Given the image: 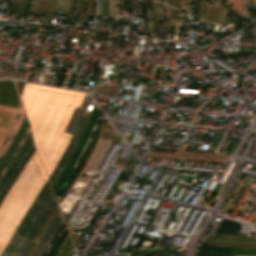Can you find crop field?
<instances>
[{"mask_svg":"<svg viewBox=\"0 0 256 256\" xmlns=\"http://www.w3.org/2000/svg\"><path fill=\"white\" fill-rule=\"evenodd\" d=\"M102 16H103V3H102Z\"/></svg>","mask_w":256,"mask_h":256,"instance_id":"22","label":"crop field"},{"mask_svg":"<svg viewBox=\"0 0 256 256\" xmlns=\"http://www.w3.org/2000/svg\"><path fill=\"white\" fill-rule=\"evenodd\" d=\"M46 180L35 152L0 205V253Z\"/></svg>","mask_w":256,"mask_h":256,"instance_id":"2","label":"crop field"},{"mask_svg":"<svg viewBox=\"0 0 256 256\" xmlns=\"http://www.w3.org/2000/svg\"><path fill=\"white\" fill-rule=\"evenodd\" d=\"M174 2H175V0H172V6H174Z\"/></svg>","mask_w":256,"mask_h":256,"instance_id":"19","label":"crop field"},{"mask_svg":"<svg viewBox=\"0 0 256 256\" xmlns=\"http://www.w3.org/2000/svg\"><path fill=\"white\" fill-rule=\"evenodd\" d=\"M254 5L256 6V0H255V2H254Z\"/></svg>","mask_w":256,"mask_h":256,"instance_id":"24","label":"crop field"},{"mask_svg":"<svg viewBox=\"0 0 256 256\" xmlns=\"http://www.w3.org/2000/svg\"><path fill=\"white\" fill-rule=\"evenodd\" d=\"M157 18H158V10H157Z\"/></svg>","mask_w":256,"mask_h":256,"instance_id":"25","label":"crop field"},{"mask_svg":"<svg viewBox=\"0 0 256 256\" xmlns=\"http://www.w3.org/2000/svg\"><path fill=\"white\" fill-rule=\"evenodd\" d=\"M254 1V0H253ZM253 1H252V3H253Z\"/></svg>","mask_w":256,"mask_h":256,"instance_id":"28","label":"crop field"},{"mask_svg":"<svg viewBox=\"0 0 256 256\" xmlns=\"http://www.w3.org/2000/svg\"><path fill=\"white\" fill-rule=\"evenodd\" d=\"M153 18H156V2L152 1Z\"/></svg>","mask_w":256,"mask_h":256,"instance_id":"13","label":"crop field"},{"mask_svg":"<svg viewBox=\"0 0 256 256\" xmlns=\"http://www.w3.org/2000/svg\"><path fill=\"white\" fill-rule=\"evenodd\" d=\"M16 109L6 108L0 106V144L4 139L11 123L13 122L16 114Z\"/></svg>","mask_w":256,"mask_h":256,"instance_id":"8","label":"crop field"},{"mask_svg":"<svg viewBox=\"0 0 256 256\" xmlns=\"http://www.w3.org/2000/svg\"><path fill=\"white\" fill-rule=\"evenodd\" d=\"M233 1L231 7L230 4ZM243 2L241 0H227V6L229 9H231L233 12L237 13L238 15L241 12L242 6H243Z\"/></svg>","mask_w":256,"mask_h":256,"instance_id":"10","label":"crop field"},{"mask_svg":"<svg viewBox=\"0 0 256 256\" xmlns=\"http://www.w3.org/2000/svg\"><path fill=\"white\" fill-rule=\"evenodd\" d=\"M56 204H57V201L53 196V198L51 199V201L49 202L47 207L44 209V211L40 215L37 223L35 224L34 228L30 232L29 236L27 237L26 241L24 242V244L22 245V247L20 248V250L18 251L16 256H23L24 255V253L26 252V250L28 249V247L30 246L32 241L34 240L35 236L37 235V233L39 232V230L41 229V227L43 226V224L45 223V221L49 217L50 213L52 212V210L56 206Z\"/></svg>","mask_w":256,"mask_h":256,"instance_id":"6","label":"crop field"},{"mask_svg":"<svg viewBox=\"0 0 256 256\" xmlns=\"http://www.w3.org/2000/svg\"><path fill=\"white\" fill-rule=\"evenodd\" d=\"M27 126H28V124H27V120H26V117H25V119H24L20 129L18 130L13 142L11 143L7 153L5 154L3 159L0 161V173L3 170V168L5 167V165L7 164V162L9 161V159L11 158L12 154L14 153V151H15L21 137L23 136Z\"/></svg>","mask_w":256,"mask_h":256,"instance_id":"9","label":"crop field"},{"mask_svg":"<svg viewBox=\"0 0 256 256\" xmlns=\"http://www.w3.org/2000/svg\"><path fill=\"white\" fill-rule=\"evenodd\" d=\"M166 3H167V0H166Z\"/></svg>","mask_w":256,"mask_h":256,"instance_id":"29","label":"crop field"},{"mask_svg":"<svg viewBox=\"0 0 256 256\" xmlns=\"http://www.w3.org/2000/svg\"><path fill=\"white\" fill-rule=\"evenodd\" d=\"M62 222L63 220L59 211L31 256L43 255L44 251L46 250L47 246L51 242L59 227L61 226Z\"/></svg>","mask_w":256,"mask_h":256,"instance_id":"7","label":"crop field"},{"mask_svg":"<svg viewBox=\"0 0 256 256\" xmlns=\"http://www.w3.org/2000/svg\"><path fill=\"white\" fill-rule=\"evenodd\" d=\"M77 5H78V0H76V5H75V7H77Z\"/></svg>","mask_w":256,"mask_h":256,"instance_id":"21","label":"crop field"},{"mask_svg":"<svg viewBox=\"0 0 256 256\" xmlns=\"http://www.w3.org/2000/svg\"><path fill=\"white\" fill-rule=\"evenodd\" d=\"M227 11H228V9L225 8L224 6H222V9H221V12H220L219 15L226 16V15H227ZM225 18H226V17L219 16L216 23H217V24H220V25H223V23H224V21H225Z\"/></svg>","mask_w":256,"mask_h":256,"instance_id":"11","label":"crop field"},{"mask_svg":"<svg viewBox=\"0 0 256 256\" xmlns=\"http://www.w3.org/2000/svg\"><path fill=\"white\" fill-rule=\"evenodd\" d=\"M204 3H205L204 1H201L200 9H199V12H198V14H197V20L200 18V15H201V12H202Z\"/></svg>","mask_w":256,"mask_h":256,"instance_id":"14","label":"crop field"},{"mask_svg":"<svg viewBox=\"0 0 256 256\" xmlns=\"http://www.w3.org/2000/svg\"><path fill=\"white\" fill-rule=\"evenodd\" d=\"M84 93L25 84L21 99L31 124L34 145L47 176L55 168L82 112ZM73 104L78 106H73ZM73 106V108H72ZM72 108V110H71ZM71 113L69 115V112ZM68 121L65 125L67 117ZM65 128L63 130V127ZM63 130V132H62ZM69 135H64V134Z\"/></svg>","mask_w":256,"mask_h":256,"instance_id":"1","label":"crop field"},{"mask_svg":"<svg viewBox=\"0 0 256 256\" xmlns=\"http://www.w3.org/2000/svg\"><path fill=\"white\" fill-rule=\"evenodd\" d=\"M109 2H111V0H109ZM113 7H114V1H113ZM109 16H111V3H109ZM114 17H115V8H114Z\"/></svg>","mask_w":256,"mask_h":256,"instance_id":"17","label":"crop field"},{"mask_svg":"<svg viewBox=\"0 0 256 256\" xmlns=\"http://www.w3.org/2000/svg\"><path fill=\"white\" fill-rule=\"evenodd\" d=\"M212 5H209V8H208V11H207V13H206V16H205V19L204 20H208V17H209V15H210V12H211V9H212Z\"/></svg>","mask_w":256,"mask_h":256,"instance_id":"16","label":"crop field"},{"mask_svg":"<svg viewBox=\"0 0 256 256\" xmlns=\"http://www.w3.org/2000/svg\"><path fill=\"white\" fill-rule=\"evenodd\" d=\"M105 11H108V0H105V4H104V16H105Z\"/></svg>","mask_w":256,"mask_h":256,"instance_id":"18","label":"crop field"},{"mask_svg":"<svg viewBox=\"0 0 256 256\" xmlns=\"http://www.w3.org/2000/svg\"><path fill=\"white\" fill-rule=\"evenodd\" d=\"M170 13H171V8H170Z\"/></svg>","mask_w":256,"mask_h":256,"instance_id":"26","label":"crop field"},{"mask_svg":"<svg viewBox=\"0 0 256 256\" xmlns=\"http://www.w3.org/2000/svg\"><path fill=\"white\" fill-rule=\"evenodd\" d=\"M32 146H33V144H32V139H31V133H29L24 144L22 145L21 149L19 150L17 156L15 157V159L9 166L8 170L6 171V173L0 180V194L2 193V191L4 190V188L6 187V185L10 181L11 177L13 176V174L15 173V171L17 170V168L19 167V165L21 164V162L23 161V159L25 158L27 153L30 151Z\"/></svg>","mask_w":256,"mask_h":256,"instance_id":"4","label":"crop field"},{"mask_svg":"<svg viewBox=\"0 0 256 256\" xmlns=\"http://www.w3.org/2000/svg\"><path fill=\"white\" fill-rule=\"evenodd\" d=\"M21 1H22V0H20L18 6H17V8H16V12H15V14H14L15 16L17 15V13H18V11H19V7H20V4H21ZM25 1H26V0H23V1H22L21 7H20V11H19V13H18V15H17L18 18H19L20 15H21L22 9H23L24 4H25Z\"/></svg>","mask_w":256,"mask_h":256,"instance_id":"12","label":"crop field"},{"mask_svg":"<svg viewBox=\"0 0 256 256\" xmlns=\"http://www.w3.org/2000/svg\"><path fill=\"white\" fill-rule=\"evenodd\" d=\"M171 18H173V9H172V13H171Z\"/></svg>","mask_w":256,"mask_h":256,"instance_id":"20","label":"crop field"},{"mask_svg":"<svg viewBox=\"0 0 256 256\" xmlns=\"http://www.w3.org/2000/svg\"><path fill=\"white\" fill-rule=\"evenodd\" d=\"M176 5H177V0H176V2H175V7H176Z\"/></svg>","mask_w":256,"mask_h":256,"instance_id":"23","label":"crop field"},{"mask_svg":"<svg viewBox=\"0 0 256 256\" xmlns=\"http://www.w3.org/2000/svg\"><path fill=\"white\" fill-rule=\"evenodd\" d=\"M168 4H169V0H168Z\"/></svg>","mask_w":256,"mask_h":256,"instance_id":"27","label":"crop field"},{"mask_svg":"<svg viewBox=\"0 0 256 256\" xmlns=\"http://www.w3.org/2000/svg\"><path fill=\"white\" fill-rule=\"evenodd\" d=\"M170 5H171V3H170Z\"/></svg>","mask_w":256,"mask_h":256,"instance_id":"30","label":"crop field"},{"mask_svg":"<svg viewBox=\"0 0 256 256\" xmlns=\"http://www.w3.org/2000/svg\"><path fill=\"white\" fill-rule=\"evenodd\" d=\"M88 116H81L75 130H74V133L61 157V159L59 160L56 168L54 169V171L52 172V174L49 176L48 180L50 182V185L53 183V181L55 180V178L58 176V174L60 173L65 161L67 160L68 156L70 155L79 135H80V132L86 122V119H87Z\"/></svg>","mask_w":256,"mask_h":256,"instance_id":"5","label":"crop field"},{"mask_svg":"<svg viewBox=\"0 0 256 256\" xmlns=\"http://www.w3.org/2000/svg\"><path fill=\"white\" fill-rule=\"evenodd\" d=\"M220 9H221V7L216 8L215 15H214V18H213V21H212V22H214V23L216 22V19H217V17H218V14H219Z\"/></svg>","mask_w":256,"mask_h":256,"instance_id":"15","label":"crop field"},{"mask_svg":"<svg viewBox=\"0 0 256 256\" xmlns=\"http://www.w3.org/2000/svg\"><path fill=\"white\" fill-rule=\"evenodd\" d=\"M52 196L53 194L47 181L26 211L22 221L20 222L19 226L15 230L14 234L10 238L0 256H15Z\"/></svg>","mask_w":256,"mask_h":256,"instance_id":"3","label":"crop field"}]
</instances>
